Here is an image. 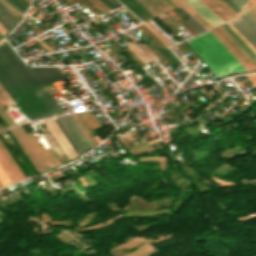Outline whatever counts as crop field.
Here are the masks:
<instances>
[{"instance_id":"obj_1","label":"crop field","mask_w":256,"mask_h":256,"mask_svg":"<svg viewBox=\"0 0 256 256\" xmlns=\"http://www.w3.org/2000/svg\"><path fill=\"white\" fill-rule=\"evenodd\" d=\"M0 85L30 120L52 116L0 52Z\"/></svg>"},{"instance_id":"obj_2","label":"crop field","mask_w":256,"mask_h":256,"mask_svg":"<svg viewBox=\"0 0 256 256\" xmlns=\"http://www.w3.org/2000/svg\"><path fill=\"white\" fill-rule=\"evenodd\" d=\"M186 42L218 79L228 74L245 71L210 30Z\"/></svg>"},{"instance_id":"obj_3","label":"crop field","mask_w":256,"mask_h":256,"mask_svg":"<svg viewBox=\"0 0 256 256\" xmlns=\"http://www.w3.org/2000/svg\"><path fill=\"white\" fill-rule=\"evenodd\" d=\"M0 51L26 81L34 93L39 97L43 104L48 108V110L53 114V116L64 114V111L30 72L27 66L22 62V60L17 56V54L6 43L5 40L0 43Z\"/></svg>"},{"instance_id":"obj_4","label":"crop field","mask_w":256,"mask_h":256,"mask_svg":"<svg viewBox=\"0 0 256 256\" xmlns=\"http://www.w3.org/2000/svg\"><path fill=\"white\" fill-rule=\"evenodd\" d=\"M11 132L23 148L24 152L38 171H46L47 166L50 168L60 164L51 149L44 150L33 132L26 134L21 126L11 128Z\"/></svg>"},{"instance_id":"obj_5","label":"crop field","mask_w":256,"mask_h":256,"mask_svg":"<svg viewBox=\"0 0 256 256\" xmlns=\"http://www.w3.org/2000/svg\"><path fill=\"white\" fill-rule=\"evenodd\" d=\"M211 31L246 71L256 70L255 63L249 59V57L241 50V48L232 40V38L224 31L221 26L211 29Z\"/></svg>"},{"instance_id":"obj_6","label":"crop field","mask_w":256,"mask_h":256,"mask_svg":"<svg viewBox=\"0 0 256 256\" xmlns=\"http://www.w3.org/2000/svg\"><path fill=\"white\" fill-rule=\"evenodd\" d=\"M170 1L176 7L181 6L183 9H185L190 15H192L196 20H198L207 29L212 28V26L210 24H208L201 16H199L193 9H191L184 1H182V0H170ZM181 7L176 8V9H174L172 11L174 13H176L181 19H183L187 24H189L198 33L207 30L205 27H203L198 21H196L192 16H190Z\"/></svg>"},{"instance_id":"obj_7","label":"crop field","mask_w":256,"mask_h":256,"mask_svg":"<svg viewBox=\"0 0 256 256\" xmlns=\"http://www.w3.org/2000/svg\"><path fill=\"white\" fill-rule=\"evenodd\" d=\"M58 120L63 125L67 133L70 135V137L72 138L76 146L79 148L81 153L92 147V144L87 139V137L85 136L79 125L76 123L72 115L58 117Z\"/></svg>"},{"instance_id":"obj_8","label":"crop field","mask_w":256,"mask_h":256,"mask_svg":"<svg viewBox=\"0 0 256 256\" xmlns=\"http://www.w3.org/2000/svg\"><path fill=\"white\" fill-rule=\"evenodd\" d=\"M0 165L13 182L25 178L0 141Z\"/></svg>"},{"instance_id":"obj_9","label":"crop field","mask_w":256,"mask_h":256,"mask_svg":"<svg viewBox=\"0 0 256 256\" xmlns=\"http://www.w3.org/2000/svg\"><path fill=\"white\" fill-rule=\"evenodd\" d=\"M231 24L254 46L256 49V25L243 12L241 17L231 22Z\"/></svg>"},{"instance_id":"obj_10","label":"crop field","mask_w":256,"mask_h":256,"mask_svg":"<svg viewBox=\"0 0 256 256\" xmlns=\"http://www.w3.org/2000/svg\"><path fill=\"white\" fill-rule=\"evenodd\" d=\"M42 85L64 79L58 67L29 68Z\"/></svg>"},{"instance_id":"obj_11","label":"crop field","mask_w":256,"mask_h":256,"mask_svg":"<svg viewBox=\"0 0 256 256\" xmlns=\"http://www.w3.org/2000/svg\"><path fill=\"white\" fill-rule=\"evenodd\" d=\"M191 8H193L199 15H201L208 23L213 27L223 23L218 19L210 10H208L200 1L198 0H184Z\"/></svg>"},{"instance_id":"obj_12","label":"crop field","mask_w":256,"mask_h":256,"mask_svg":"<svg viewBox=\"0 0 256 256\" xmlns=\"http://www.w3.org/2000/svg\"><path fill=\"white\" fill-rule=\"evenodd\" d=\"M154 16L172 9L164 0H137ZM150 13V14H151Z\"/></svg>"},{"instance_id":"obj_13","label":"crop field","mask_w":256,"mask_h":256,"mask_svg":"<svg viewBox=\"0 0 256 256\" xmlns=\"http://www.w3.org/2000/svg\"><path fill=\"white\" fill-rule=\"evenodd\" d=\"M125 7H127L135 16L141 21H145L151 17L150 14L143 6H141L136 0H119Z\"/></svg>"},{"instance_id":"obj_14","label":"crop field","mask_w":256,"mask_h":256,"mask_svg":"<svg viewBox=\"0 0 256 256\" xmlns=\"http://www.w3.org/2000/svg\"><path fill=\"white\" fill-rule=\"evenodd\" d=\"M19 18L0 1V24L8 31Z\"/></svg>"},{"instance_id":"obj_15","label":"crop field","mask_w":256,"mask_h":256,"mask_svg":"<svg viewBox=\"0 0 256 256\" xmlns=\"http://www.w3.org/2000/svg\"><path fill=\"white\" fill-rule=\"evenodd\" d=\"M213 7H215L222 15L227 19L236 17V13L232 11L225 3L221 0H207Z\"/></svg>"},{"instance_id":"obj_16","label":"crop field","mask_w":256,"mask_h":256,"mask_svg":"<svg viewBox=\"0 0 256 256\" xmlns=\"http://www.w3.org/2000/svg\"><path fill=\"white\" fill-rule=\"evenodd\" d=\"M226 32L236 41V43L246 52V54L255 62L254 59L256 57L252 54V52L241 42V40L230 30V28L226 25L223 24L221 25Z\"/></svg>"},{"instance_id":"obj_17","label":"crop field","mask_w":256,"mask_h":256,"mask_svg":"<svg viewBox=\"0 0 256 256\" xmlns=\"http://www.w3.org/2000/svg\"><path fill=\"white\" fill-rule=\"evenodd\" d=\"M73 117L78 122V124L80 125V127L82 128L86 136L89 138L93 146L96 145L97 144L96 141L94 140V138L92 137V135L90 134V132L88 131V129L86 128V126L84 125L80 117L78 116V114H74Z\"/></svg>"},{"instance_id":"obj_18","label":"crop field","mask_w":256,"mask_h":256,"mask_svg":"<svg viewBox=\"0 0 256 256\" xmlns=\"http://www.w3.org/2000/svg\"><path fill=\"white\" fill-rule=\"evenodd\" d=\"M137 27H141V31H143L152 41H154L158 46H164L162 44V42L156 37L154 36L143 24L137 26ZM165 47V46H164Z\"/></svg>"},{"instance_id":"obj_19","label":"crop field","mask_w":256,"mask_h":256,"mask_svg":"<svg viewBox=\"0 0 256 256\" xmlns=\"http://www.w3.org/2000/svg\"><path fill=\"white\" fill-rule=\"evenodd\" d=\"M54 121L56 122V124L58 125V127L60 128V130L62 131V133L64 134V136L67 138V140L69 141V143L71 144V146L73 147V149L75 150V152L77 153V155L81 154L79 152V150L77 149V147L75 146V144L73 143V141L71 140V138L68 136V134L66 133V131L64 130V128L62 127V125L59 123V121L57 120V118H53Z\"/></svg>"},{"instance_id":"obj_20","label":"crop field","mask_w":256,"mask_h":256,"mask_svg":"<svg viewBox=\"0 0 256 256\" xmlns=\"http://www.w3.org/2000/svg\"><path fill=\"white\" fill-rule=\"evenodd\" d=\"M0 117L7 124L8 127L16 125L1 106H0Z\"/></svg>"},{"instance_id":"obj_21","label":"crop field","mask_w":256,"mask_h":256,"mask_svg":"<svg viewBox=\"0 0 256 256\" xmlns=\"http://www.w3.org/2000/svg\"><path fill=\"white\" fill-rule=\"evenodd\" d=\"M11 99L0 86V104L2 107L10 105Z\"/></svg>"},{"instance_id":"obj_22","label":"crop field","mask_w":256,"mask_h":256,"mask_svg":"<svg viewBox=\"0 0 256 256\" xmlns=\"http://www.w3.org/2000/svg\"><path fill=\"white\" fill-rule=\"evenodd\" d=\"M0 184L2 185V187L11 184V181L9 180V178L4 173L1 167H0Z\"/></svg>"},{"instance_id":"obj_23","label":"crop field","mask_w":256,"mask_h":256,"mask_svg":"<svg viewBox=\"0 0 256 256\" xmlns=\"http://www.w3.org/2000/svg\"><path fill=\"white\" fill-rule=\"evenodd\" d=\"M205 6H207L217 17H219L222 21L226 20L224 16H222L215 8H213L207 1L200 0Z\"/></svg>"},{"instance_id":"obj_24","label":"crop field","mask_w":256,"mask_h":256,"mask_svg":"<svg viewBox=\"0 0 256 256\" xmlns=\"http://www.w3.org/2000/svg\"><path fill=\"white\" fill-rule=\"evenodd\" d=\"M91 1L94 5H96L98 8H100L102 11L105 13L110 11L104 4H102L99 0H89Z\"/></svg>"},{"instance_id":"obj_25","label":"crop field","mask_w":256,"mask_h":256,"mask_svg":"<svg viewBox=\"0 0 256 256\" xmlns=\"http://www.w3.org/2000/svg\"><path fill=\"white\" fill-rule=\"evenodd\" d=\"M225 2L232 10H234L237 14L241 10L238 6H236L231 0H222Z\"/></svg>"},{"instance_id":"obj_26","label":"crop field","mask_w":256,"mask_h":256,"mask_svg":"<svg viewBox=\"0 0 256 256\" xmlns=\"http://www.w3.org/2000/svg\"><path fill=\"white\" fill-rule=\"evenodd\" d=\"M9 1H11L15 6H17L21 11L25 13L27 8L23 6L18 0H9Z\"/></svg>"},{"instance_id":"obj_27","label":"crop field","mask_w":256,"mask_h":256,"mask_svg":"<svg viewBox=\"0 0 256 256\" xmlns=\"http://www.w3.org/2000/svg\"><path fill=\"white\" fill-rule=\"evenodd\" d=\"M108 2L111 6H113L115 9L121 7L122 5L118 3L116 0H105Z\"/></svg>"},{"instance_id":"obj_28","label":"crop field","mask_w":256,"mask_h":256,"mask_svg":"<svg viewBox=\"0 0 256 256\" xmlns=\"http://www.w3.org/2000/svg\"><path fill=\"white\" fill-rule=\"evenodd\" d=\"M145 24L151 29L153 30L161 39H163L166 43H168L169 45H171V43L169 41H167L161 34H159L152 26H150L147 22H145Z\"/></svg>"},{"instance_id":"obj_29","label":"crop field","mask_w":256,"mask_h":256,"mask_svg":"<svg viewBox=\"0 0 256 256\" xmlns=\"http://www.w3.org/2000/svg\"><path fill=\"white\" fill-rule=\"evenodd\" d=\"M236 5H238L241 9L248 2L247 0H232Z\"/></svg>"},{"instance_id":"obj_30","label":"crop field","mask_w":256,"mask_h":256,"mask_svg":"<svg viewBox=\"0 0 256 256\" xmlns=\"http://www.w3.org/2000/svg\"><path fill=\"white\" fill-rule=\"evenodd\" d=\"M247 79L256 87V75L247 76Z\"/></svg>"},{"instance_id":"obj_31","label":"crop field","mask_w":256,"mask_h":256,"mask_svg":"<svg viewBox=\"0 0 256 256\" xmlns=\"http://www.w3.org/2000/svg\"><path fill=\"white\" fill-rule=\"evenodd\" d=\"M247 9L256 17V7L252 3Z\"/></svg>"},{"instance_id":"obj_32","label":"crop field","mask_w":256,"mask_h":256,"mask_svg":"<svg viewBox=\"0 0 256 256\" xmlns=\"http://www.w3.org/2000/svg\"><path fill=\"white\" fill-rule=\"evenodd\" d=\"M228 167H230V166H228V165L225 164V165H223L222 167H220V168L214 170V173H215V174H218V173L222 172L223 170H225V169L228 168Z\"/></svg>"},{"instance_id":"obj_33","label":"crop field","mask_w":256,"mask_h":256,"mask_svg":"<svg viewBox=\"0 0 256 256\" xmlns=\"http://www.w3.org/2000/svg\"><path fill=\"white\" fill-rule=\"evenodd\" d=\"M244 12L256 23V18L247 9Z\"/></svg>"},{"instance_id":"obj_34","label":"crop field","mask_w":256,"mask_h":256,"mask_svg":"<svg viewBox=\"0 0 256 256\" xmlns=\"http://www.w3.org/2000/svg\"><path fill=\"white\" fill-rule=\"evenodd\" d=\"M75 185L79 188L81 192L85 191L80 182L76 183Z\"/></svg>"},{"instance_id":"obj_35","label":"crop field","mask_w":256,"mask_h":256,"mask_svg":"<svg viewBox=\"0 0 256 256\" xmlns=\"http://www.w3.org/2000/svg\"><path fill=\"white\" fill-rule=\"evenodd\" d=\"M24 1H26V2L29 3V4H30V2H31V0H24Z\"/></svg>"},{"instance_id":"obj_36","label":"crop field","mask_w":256,"mask_h":256,"mask_svg":"<svg viewBox=\"0 0 256 256\" xmlns=\"http://www.w3.org/2000/svg\"><path fill=\"white\" fill-rule=\"evenodd\" d=\"M252 3L256 6V0H254Z\"/></svg>"},{"instance_id":"obj_37","label":"crop field","mask_w":256,"mask_h":256,"mask_svg":"<svg viewBox=\"0 0 256 256\" xmlns=\"http://www.w3.org/2000/svg\"><path fill=\"white\" fill-rule=\"evenodd\" d=\"M2 36L0 35V38H1Z\"/></svg>"},{"instance_id":"obj_38","label":"crop field","mask_w":256,"mask_h":256,"mask_svg":"<svg viewBox=\"0 0 256 256\" xmlns=\"http://www.w3.org/2000/svg\"><path fill=\"white\" fill-rule=\"evenodd\" d=\"M0 188H1V185H0Z\"/></svg>"},{"instance_id":"obj_39","label":"crop field","mask_w":256,"mask_h":256,"mask_svg":"<svg viewBox=\"0 0 256 256\" xmlns=\"http://www.w3.org/2000/svg\"><path fill=\"white\" fill-rule=\"evenodd\" d=\"M249 1V0H248Z\"/></svg>"}]
</instances>
